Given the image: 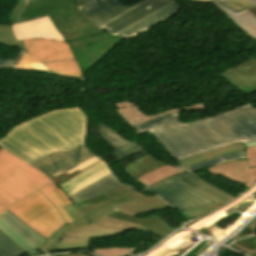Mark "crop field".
Instances as JSON below:
<instances>
[{
    "mask_svg": "<svg viewBox=\"0 0 256 256\" xmlns=\"http://www.w3.org/2000/svg\"><path fill=\"white\" fill-rule=\"evenodd\" d=\"M174 178L181 183L201 192L204 193L214 200L222 203L223 205L235 198L234 196L210 185L209 183L195 177L191 173L185 171L179 175L174 176Z\"/></svg>",
    "mask_w": 256,
    "mask_h": 256,
    "instance_id": "17",
    "label": "crop field"
},
{
    "mask_svg": "<svg viewBox=\"0 0 256 256\" xmlns=\"http://www.w3.org/2000/svg\"><path fill=\"white\" fill-rule=\"evenodd\" d=\"M104 199H106V197H105L104 195H102V196H98V197H95V198L86 200V201H84V202L75 204V205H73V206L75 207V209H77V208H80V207H83V206H86V205H90V204L99 202V201L104 200Z\"/></svg>",
    "mask_w": 256,
    "mask_h": 256,
    "instance_id": "37",
    "label": "crop field"
},
{
    "mask_svg": "<svg viewBox=\"0 0 256 256\" xmlns=\"http://www.w3.org/2000/svg\"><path fill=\"white\" fill-rule=\"evenodd\" d=\"M250 167H256V158L247 160Z\"/></svg>",
    "mask_w": 256,
    "mask_h": 256,
    "instance_id": "40",
    "label": "crop field"
},
{
    "mask_svg": "<svg viewBox=\"0 0 256 256\" xmlns=\"http://www.w3.org/2000/svg\"><path fill=\"white\" fill-rule=\"evenodd\" d=\"M244 95L256 92V59L248 58L245 62L218 74Z\"/></svg>",
    "mask_w": 256,
    "mask_h": 256,
    "instance_id": "12",
    "label": "crop field"
},
{
    "mask_svg": "<svg viewBox=\"0 0 256 256\" xmlns=\"http://www.w3.org/2000/svg\"><path fill=\"white\" fill-rule=\"evenodd\" d=\"M148 190L164 198L178 211L210 203L219 204L213 199L181 184L173 177L149 188Z\"/></svg>",
    "mask_w": 256,
    "mask_h": 256,
    "instance_id": "9",
    "label": "crop field"
},
{
    "mask_svg": "<svg viewBox=\"0 0 256 256\" xmlns=\"http://www.w3.org/2000/svg\"><path fill=\"white\" fill-rule=\"evenodd\" d=\"M100 160L82 145L69 153H54L31 166L43 171L59 186Z\"/></svg>",
    "mask_w": 256,
    "mask_h": 256,
    "instance_id": "6",
    "label": "crop field"
},
{
    "mask_svg": "<svg viewBox=\"0 0 256 256\" xmlns=\"http://www.w3.org/2000/svg\"><path fill=\"white\" fill-rule=\"evenodd\" d=\"M245 152H246V150L238 152V153H234V154H231V155L215 158V159H212V160H209V161H206V162H201L199 164L187 167L185 169L192 173V172H196V171H199L203 168L213 166V165H216V164L224 163V162L235 160V159H242V158H245Z\"/></svg>",
    "mask_w": 256,
    "mask_h": 256,
    "instance_id": "29",
    "label": "crop field"
},
{
    "mask_svg": "<svg viewBox=\"0 0 256 256\" xmlns=\"http://www.w3.org/2000/svg\"><path fill=\"white\" fill-rule=\"evenodd\" d=\"M221 206L223 205L210 204V205H206L203 207H199V208H195L187 211H180V213H182L185 217L190 219L196 216L209 214Z\"/></svg>",
    "mask_w": 256,
    "mask_h": 256,
    "instance_id": "34",
    "label": "crop field"
},
{
    "mask_svg": "<svg viewBox=\"0 0 256 256\" xmlns=\"http://www.w3.org/2000/svg\"><path fill=\"white\" fill-rule=\"evenodd\" d=\"M116 211L113 206L105 208V209H101L86 215H83V217L89 222L88 224H93V225H97V226H103V227H109V228H115V229H121V230H133V229H137L143 232H147V233H151L145 229H143L142 227L135 225V224H131V223H127V222H123V221H119V220H115V219H111V218H107L105 216L113 214ZM152 234V233H151Z\"/></svg>",
    "mask_w": 256,
    "mask_h": 256,
    "instance_id": "21",
    "label": "crop field"
},
{
    "mask_svg": "<svg viewBox=\"0 0 256 256\" xmlns=\"http://www.w3.org/2000/svg\"><path fill=\"white\" fill-rule=\"evenodd\" d=\"M254 16H256V7L252 9H248Z\"/></svg>",
    "mask_w": 256,
    "mask_h": 256,
    "instance_id": "41",
    "label": "crop field"
},
{
    "mask_svg": "<svg viewBox=\"0 0 256 256\" xmlns=\"http://www.w3.org/2000/svg\"><path fill=\"white\" fill-rule=\"evenodd\" d=\"M108 173H110V171L108 170L106 163L102 160L94 166L84 170L71 180L61 184L59 187L68 197Z\"/></svg>",
    "mask_w": 256,
    "mask_h": 256,
    "instance_id": "15",
    "label": "crop field"
},
{
    "mask_svg": "<svg viewBox=\"0 0 256 256\" xmlns=\"http://www.w3.org/2000/svg\"><path fill=\"white\" fill-rule=\"evenodd\" d=\"M0 44L26 49L22 41H16L11 26L0 25Z\"/></svg>",
    "mask_w": 256,
    "mask_h": 256,
    "instance_id": "30",
    "label": "crop field"
},
{
    "mask_svg": "<svg viewBox=\"0 0 256 256\" xmlns=\"http://www.w3.org/2000/svg\"><path fill=\"white\" fill-rule=\"evenodd\" d=\"M137 247L94 249L93 254L98 256H128L133 255Z\"/></svg>",
    "mask_w": 256,
    "mask_h": 256,
    "instance_id": "32",
    "label": "crop field"
},
{
    "mask_svg": "<svg viewBox=\"0 0 256 256\" xmlns=\"http://www.w3.org/2000/svg\"><path fill=\"white\" fill-rule=\"evenodd\" d=\"M242 145H244L245 147L254 146V145H256V142L247 143V144H242Z\"/></svg>",
    "mask_w": 256,
    "mask_h": 256,
    "instance_id": "42",
    "label": "crop field"
},
{
    "mask_svg": "<svg viewBox=\"0 0 256 256\" xmlns=\"http://www.w3.org/2000/svg\"><path fill=\"white\" fill-rule=\"evenodd\" d=\"M9 211L47 239L66 223L40 192Z\"/></svg>",
    "mask_w": 256,
    "mask_h": 256,
    "instance_id": "7",
    "label": "crop field"
},
{
    "mask_svg": "<svg viewBox=\"0 0 256 256\" xmlns=\"http://www.w3.org/2000/svg\"><path fill=\"white\" fill-rule=\"evenodd\" d=\"M180 112L145 122L134 128L148 132L175 160L235 142L256 141V107L250 103L217 116L184 124Z\"/></svg>",
    "mask_w": 256,
    "mask_h": 256,
    "instance_id": "1",
    "label": "crop field"
},
{
    "mask_svg": "<svg viewBox=\"0 0 256 256\" xmlns=\"http://www.w3.org/2000/svg\"><path fill=\"white\" fill-rule=\"evenodd\" d=\"M12 28L17 40L38 38L65 41L48 16L12 25Z\"/></svg>",
    "mask_w": 256,
    "mask_h": 256,
    "instance_id": "13",
    "label": "crop field"
},
{
    "mask_svg": "<svg viewBox=\"0 0 256 256\" xmlns=\"http://www.w3.org/2000/svg\"><path fill=\"white\" fill-rule=\"evenodd\" d=\"M86 4L87 0H39L25 6L19 19L23 22L48 15L66 42L103 33L77 8Z\"/></svg>",
    "mask_w": 256,
    "mask_h": 256,
    "instance_id": "4",
    "label": "crop field"
},
{
    "mask_svg": "<svg viewBox=\"0 0 256 256\" xmlns=\"http://www.w3.org/2000/svg\"><path fill=\"white\" fill-rule=\"evenodd\" d=\"M115 209L129 215L136 216L164 208L170 207L168 204L162 201V199L155 195L149 197H143L132 201L124 202L118 205H114Z\"/></svg>",
    "mask_w": 256,
    "mask_h": 256,
    "instance_id": "18",
    "label": "crop field"
},
{
    "mask_svg": "<svg viewBox=\"0 0 256 256\" xmlns=\"http://www.w3.org/2000/svg\"><path fill=\"white\" fill-rule=\"evenodd\" d=\"M52 183L44 173L0 148V214Z\"/></svg>",
    "mask_w": 256,
    "mask_h": 256,
    "instance_id": "3",
    "label": "crop field"
},
{
    "mask_svg": "<svg viewBox=\"0 0 256 256\" xmlns=\"http://www.w3.org/2000/svg\"><path fill=\"white\" fill-rule=\"evenodd\" d=\"M246 149H247L246 159L256 157V146L248 147Z\"/></svg>",
    "mask_w": 256,
    "mask_h": 256,
    "instance_id": "38",
    "label": "crop field"
},
{
    "mask_svg": "<svg viewBox=\"0 0 256 256\" xmlns=\"http://www.w3.org/2000/svg\"><path fill=\"white\" fill-rule=\"evenodd\" d=\"M98 131L100 137L115 151H112L116 157L121 160L129 155H132L140 149L137 147L135 141H128L116 131L106 127L98 122Z\"/></svg>",
    "mask_w": 256,
    "mask_h": 256,
    "instance_id": "16",
    "label": "crop field"
},
{
    "mask_svg": "<svg viewBox=\"0 0 256 256\" xmlns=\"http://www.w3.org/2000/svg\"><path fill=\"white\" fill-rule=\"evenodd\" d=\"M91 4L79 7L88 19L99 28L118 18L147 0H139L126 7L120 0H88Z\"/></svg>",
    "mask_w": 256,
    "mask_h": 256,
    "instance_id": "11",
    "label": "crop field"
},
{
    "mask_svg": "<svg viewBox=\"0 0 256 256\" xmlns=\"http://www.w3.org/2000/svg\"><path fill=\"white\" fill-rule=\"evenodd\" d=\"M254 2H256V0H253Z\"/></svg>",
    "mask_w": 256,
    "mask_h": 256,
    "instance_id": "44",
    "label": "crop field"
},
{
    "mask_svg": "<svg viewBox=\"0 0 256 256\" xmlns=\"http://www.w3.org/2000/svg\"><path fill=\"white\" fill-rule=\"evenodd\" d=\"M183 171L185 170L177 167H172L170 165H166L137 178L136 182L142 185L143 187L148 188L163 179L169 178Z\"/></svg>",
    "mask_w": 256,
    "mask_h": 256,
    "instance_id": "25",
    "label": "crop field"
},
{
    "mask_svg": "<svg viewBox=\"0 0 256 256\" xmlns=\"http://www.w3.org/2000/svg\"><path fill=\"white\" fill-rule=\"evenodd\" d=\"M23 42L28 53L54 73L83 77L67 43L38 39Z\"/></svg>",
    "mask_w": 256,
    "mask_h": 256,
    "instance_id": "8",
    "label": "crop field"
},
{
    "mask_svg": "<svg viewBox=\"0 0 256 256\" xmlns=\"http://www.w3.org/2000/svg\"><path fill=\"white\" fill-rule=\"evenodd\" d=\"M165 165L164 163L158 162L147 155L124 166V169L134 178L154 170L156 168H159L161 166Z\"/></svg>",
    "mask_w": 256,
    "mask_h": 256,
    "instance_id": "27",
    "label": "crop field"
},
{
    "mask_svg": "<svg viewBox=\"0 0 256 256\" xmlns=\"http://www.w3.org/2000/svg\"><path fill=\"white\" fill-rule=\"evenodd\" d=\"M24 51L21 49L20 53L17 55V57L14 60H4L0 58V66L4 67H15V65L18 63V61L21 59V57L24 55ZM17 66V65H16Z\"/></svg>",
    "mask_w": 256,
    "mask_h": 256,
    "instance_id": "36",
    "label": "crop field"
},
{
    "mask_svg": "<svg viewBox=\"0 0 256 256\" xmlns=\"http://www.w3.org/2000/svg\"><path fill=\"white\" fill-rule=\"evenodd\" d=\"M180 8H182V7H180L176 2H174L173 4L167 6L166 8L160 10L159 12L143 19L135 26L117 34L116 36H119L124 39H129V38L135 37V36L139 35L140 33L157 25L158 23L164 21L169 16H171L175 12H177Z\"/></svg>",
    "mask_w": 256,
    "mask_h": 256,
    "instance_id": "19",
    "label": "crop field"
},
{
    "mask_svg": "<svg viewBox=\"0 0 256 256\" xmlns=\"http://www.w3.org/2000/svg\"><path fill=\"white\" fill-rule=\"evenodd\" d=\"M71 205L65 209L73 219V223H67L60 228L39 250L50 254L69 250L88 249L92 238L108 237L124 231L102 228L85 224L87 221L77 213Z\"/></svg>",
    "mask_w": 256,
    "mask_h": 256,
    "instance_id": "5",
    "label": "crop field"
},
{
    "mask_svg": "<svg viewBox=\"0 0 256 256\" xmlns=\"http://www.w3.org/2000/svg\"><path fill=\"white\" fill-rule=\"evenodd\" d=\"M221 4L222 6L226 7L227 9L237 13L242 10L255 7L253 4H251L248 1H243V0H229V1H219L217 2Z\"/></svg>",
    "mask_w": 256,
    "mask_h": 256,
    "instance_id": "33",
    "label": "crop field"
},
{
    "mask_svg": "<svg viewBox=\"0 0 256 256\" xmlns=\"http://www.w3.org/2000/svg\"><path fill=\"white\" fill-rule=\"evenodd\" d=\"M25 4V0L24 1H17L10 16H9V19L11 21V24H17V23H20L18 21V18H17V15L19 14V12L21 11V9L23 8Z\"/></svg>",
    "mask_w": 256,
    "mask_h": 256,
    "instance_id": "35",
    "label": "crop field"
},
{
    "mask_svg": "<svg viewBox=\"0 0 256 256\" xmlns=\"http://www.w3.org/2000/svg\"><path fill=\"white\" fill-rule=\"evenodd\" d=\"M204 107H205V104L201 103V104L192 105V106H188V107H184V108H180V109H175V110H171V111L162 112V113L152 115V116H149V117L144 115L141 112V110L138 108V106L117 110V112L124 119H126L132 126H134V125L141 124L142 122H145L147 120H150V119H153V118H156V117H160V116L172 113V112L181 111V110L203 109Z\"/></svg>",
    "mask_w": 256,
    "mask_h": 256,
    "instance_id": "23",
    "label": "crop field"
},
{
    "mask_svg": "<svg viewBox=\"0 0 256 256\" xmlns=\"http://www.w3.org/2000/svg\"><path fill=\"white\" fill-rule=\"evenodd\" d=\"M204 170L237 181L248 188L256 183V168L250 169L245 159L216 165Z\"/></svg>",
    "mask_w": 256,
    "mask_h": 256,
    "instance_id": "14",
    "label": "crop field"
},
{
    "mask_svg": "<svg viewBox=\"0 0 256 256\" xmlns=\"http://www.w3.org/2000/svg\"><path fill=\"white\" fill-rule=\"evenodd\" d=\"M62 256H88L82 252H78V253H67V254H64Z\"/></svg>",
    "mask_w": 256,
    "mask_h": 256,
    "instance_id": "39",
    "label": "crop field"
},
{
    "mask_svg": "<svg viewBox=\"0 0 256 256\" xmlns=\"http://www.w3.org/2000/svg\"><path fill=\"white\" fill-rule=\"evenodd\" d=\"M105 196L108 199L87 207L77 209V211L79 212L80 215H83L101 208H105L117 203L143 197L146 195L136 191L135 188L124 186L120 189H117L115 191L105 194Z\"/></svg>",
    "mask_w": 256,
    "mask_h": 256,
    "instance_id": "22",
    "label": "crop field"
},
{
    "mask_svg": "<svg viewBox=\"0 0 256 256\" xmlns=\"http://www.w3.org/2000/svg\"><path fill=\"white\" fill-rule=\"evenodd\" d=\"M191 1H202V0H191Z\"/></svg>",
    "mask_w": 256,
    "mask_h": 256,
    "instance_id": "43",
    "label": "crop field"
},
{
    "mask_svg": "<svg viewBox=\"0 0 256 256\" xmlns=\"http://www.w3.org/2000/svg\"><path fill=\"white\" fill-rule=\"evenodd\" d=\"M122 186L124 185L117 181L112 174H109L68 198L75 204L105 194Z\"/></svg>",
    "mask_w": 256,
    "mask_h": 256,
    "instance_id": "20",
    "label": "crop field"
},
{
    "mask_svg": "<svg viewBox=\"0 0 256 256\" xmlns=\"http://www.w3.org/2000/svg\"><path fill=\"white\" fill-rule=\"evenodd\" d=\"M173 3L171 0H161L158 3L154 4L153 6L149 7L148 9L142 11L141 13L137 14L136 16L132 17L131 19L127 20L126 22L122 23L121 25L115 27L114 29L108 31L109 33L115 35L116 33L138 23L143 18L159 11L160 9L166 7L167 5Z\"/></svg>",
    "mask_w": 256,
    "mask_h": 256,
    "instance_id": "28",
    "label": "crop field"
},
{
    "mask_svg": "<svg viewBox=\"0 0 256 256\" xmlns=\"http://www.w3.org/2000/svg\"><path fill=\"white\" fill-rule=\"evenodd\" d=\"M86 123L79 108L55 109L12 128L0 147L30 165L84 144Z\"/></svg>",
    "mask_w": 256,
    "mask_h": 256,
    "instance_id": "2",
    "label": "crop field"
},
{
    "mask_svg": "<svg viewBox=\"0 0 256 256\" xmlns=\"http://www.w3.org/2000/svg\"><path fill=\"white\" fill-rule=\"evenodd\" d=\"M40 192L56 207L68 224L73 222L63 207L71 202L55 183Z\"/></svg>",
    "mask_w": 256,
    "mask_h": 256,
    "instance_id": "24",
    "label": "crop field"
},
{
    "mask_svg": "<svg viewBox=\"0 0 256 256\" xmlns=\"http://www.w3.org/2000/svg\"><path fill=\"white\" fill-rule=\"evenodd\" d=\"M213 3L217 5L224 13H226L233 21H235L242 29H244L256 41V17H254L247 10L235 14L227 10L226 8L220 6L217 3L215 2Z\"/></svg>",
    "mask_w": 256,
    "mask_h": 256,
    "instance_id": "26",
    "label": "crop field"
},
{
    "mask_svg": "<svg viewBox=\"0 0 256 256\" xmlns=\"http://www.w3.org/2000/svg\"><path fill=\"white\" fill-rule=\"evenodd\" d=\"M0 230L31 256L47 240L9 211L0 215Z\"/></svg>",
    "mask_w": 256,
    "mask_h": 256,
    "instance_id": "10",
    "label": "crop field"
},
{
    "mask_svg": "<svg viewBox=\"0 0 256 256\" xmlns=\"http://www.w3.org/2000/svg\"><path fill=\"white\" fill-rule=\"evenodd\" d=\"M7 237V236H6ZM0 232V256H21L25 254Z\"/></svg>",
    "mask_w": 256,
    "mask_h": 256,
    "instance_id": "31",
    "label": "crop field"
}]
</instances>
